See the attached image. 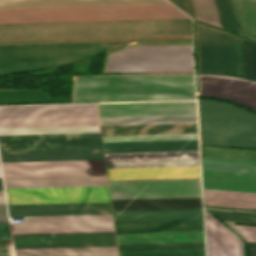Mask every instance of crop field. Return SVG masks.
<instances>
[{"label": "crop field", "mask_w": 256, "mask_h": 256, "mask_svg": "<svg viewBox=\"0 0 256 256\" xmlns=\"http://www.w3.org/2000/svg\"><path fill=\"white\" fill-rule=\"evenodd\" d=\"M102 147L100 133L0 136V150Z\"/></svg>", "instance_id": "obj_13"}, {"label": "crop field", "mask_w": 256, "mask_h": 256, "mask_svg": "<svg viewBox=\"0 0 256 256\" xmlns=\"http://www.w3.org/2000/svg\"><path fill=\"white\" fill-rule=\"evenodd\" d=\"M246 79L256 82V45L243 41Z\"/></svg>", "instance_id": "obj_39"}, {"label": "crop field", "mask_w": 256, "mask_h": 256, "mask_svg": "<svg viewBox=\"0 0 256 256\" xmlns=\"http://www.w3.org/2000/svg\"><path fill=\"white\" fill-rule=\"evenodd\" d=\"M200 74L245 79L242 40L199 26Z\"/></svg>", "instance_id": "obj_8"}, {"label": "crop field", "mask_w": 256, "mask_h": 256, "mask_svg": "<svg viewBox=\"0 0 256 256\" xmlns=\"http://www.w3.org/2000/svg\"><path fill=\"white\" fill-rule=\"evenodd\" d=\"M205 206L256 210V193L204 189Z\"/></svg>", "instance_id": "obj_30"}, {"label": "crop field", "mask_w": 256, "mask_h": 256, "mask_svg": "<svg viewBox=\"0 0 256 256\" xmlns=\"http://www.w3.org/2000/svg\"><path fill=\"white\" fill-rule=\"evenodd\" d=\"M246 256H256V243L246 242Z\"/></svg>", "instance_id": "obj_42"}, {"label": "crop field", "mask_w": 256, "mask_h": 256, "mask_svg": "<svg viewBox=\"0 0 256 256\" xmlns=\"http://www.w3.org/2000/svg\"><path fill=\"white\" fill-rule=\"evenodd\" d=\"M14 248L116 246L114 233L12 236Z\"/></svg>", "instance_id": "obj_16"}, {"label": "crop field", "mask_w": 256, "mask_h": 256, "mask_svg": "<svg viewBox=\"0 0 256 256\" xmlns=\"http://www.w3.org/2000/svg\"><path fill=\"white\" fill-rule=\"evenodd\" d=\"M113 211L201 208V197L111 200Z\"/></svg>", "instance_id": "obj_26"}, {"label": "crop field", "mask_w": 256, "mask_h": 256, "mask_svg": "<svg viewBox=\"0 0 256 256\" xmlns=\"http://www.w3.org/2000/svg\"><path fill=\"white\" fill-rule=\"evenodd\" d=\"M221 220L256 222V213L208 209Z\"/></svg>", "instance_id": "obj_40"}, {"label": "crop field", "mask_w": 256, "mask_h": 256, "mask_svg": "<svg viewBox=\"0 0 256 256\" xmlns=\"http://www.w3.org/2000/svg\"><path fill=\"white\" fill-rule=\"evenodd\" d=\"M193 75L77 77L73 102L194 100Z\"/></svg>", "instance_id": "obj_2"}, {"label": "crop field", "mask_w": 256, "mask_h": 256, "mask_svg": "<svg viewBox=\"0 0 256 256\" xmlns=\"http://www.w3.org/2000/svg\"><path fill=\"white\" fill-rule=\"evenodd\" d=\"M204 188L256 192V175L202 170Z\"/></svg>", "instance_id": "obj_28"}, {"label": "crop field", "mask_w": 256, "mask_h": 256, "mask_svg": "<svg viewBox=\"0 0 256 256\" xmlns=\"http://www.w3.org/2000/svg\"><path fill=\"white\" fill-rule=\"evenodd\" d=\"M201 144L256 149V115L198 99Z\"/></svg>", "instance_id": "obj_4"}, {"label": "crop field", "mask_w": 256, "mask_h": 256, "mask_svg": "<svg viewBox=\"0 0 256 256\" xmlns=\"http://www.w3.org/2000/svg\"><path fill=\"white\" fill-rule=\"evenodd\" d=\"M99 125L95 104L0 107V128Z\"/></svg>", "instance_id": "obj_7"}, {"label": "crop field", "mask_w": 256, "mask_h": 256, "mask_svg": "<svg viewBox=\"0 0 256 256\" xmlns=\"http://www.w3.org/2000/svg\"><path fill=\"white\" fill-rule=\"evenodd\" d=\"M0 174H1V170H0ZM0 190H3L1 178H0ZM0 203H5L3 191H0Z\"/></svg>", "instance_id": "obj_43"}, {"label": "crop field", "mask_w": 256, "mask_h": 256, "mask_svg": "<svg viewBox=\"0 0 256 256\" xmlns=\"http://www.w3.org/2000/svg\"><path fill=\"white\" fill-rule=\"evenodd\" d=\"M238 232L245 241L256 242V227L229 225Z\"/></svg>", "instance_id": "obj_41"}, {"label": "crop field", "mask_w": 256, "mask_h": 256, "mask_svg": "<svg viewBox=\"0 0 256 256\" xmlns=\"http://www.w3.org/2000/svg\"><path fill=\"white\" fill-rule=\"evenodd\" d=\"M202 157L256 162V151L201 147Z\"/></svg>", "instance_id": "obj_36"}, {"label": "crop field", "mask_w": 256, "mask_h": 256, "mask_svg": "<svg viewBox=\"0 0 256 256\" xmlns=\"http://www.w3.org/2000/svg\"><path fill=\"white\" fill-rule=\"evenodd\" d=\"M2 162L104 159L102 148L0 151Z\"/></svg>", "instance_id": "obj_20"}, {"label": "crop field", "mask_w": 256, "mask_h": 256, "mask_svg": "<svg viewBox=\"0 0 256 256\" xmlns=\"http://www.w3.org/2000/svg\"><path fill=\"white\" fill-rule=\"evenodd\" d=\"M190 18L172 4L0 9V23Z\"/></svg>", "instance_id": "obj_3"}, {"label": "crop field", "mask_w": 256, "mask_h": 256, "mask_svg": "<svg viewBox=\"0 0 256 256\" xmlns=\"http://www.w3.org/2000/svg\"><path fill=\"white\" fill-rule=\"evenodd\" d=\"M5 190L8 204L110 202L107 186Z\"/></svg>", "instance_id": "obj_11"}, {"label": "crop field", "mask_w": 256, "mask_h": 256, "mask_svg": "<svg viewBox=\"0 0 256 256\" xmlns=\"http://www.w3.org/2000/svg\"><path fill=\"white\" fill-rule=\"evenodd\" d=\"M101 125L196 123V115L99 118Z\"/></svg>", "instance_id": "obj_33"}, {"label": "crop field", "mask_w": 256, "mask_h": 256, "mask_svg": "<svg viewBox=\"0 0 256 256\" xmlns=\"http://www.w3.org/2000/svg\"><path fill=\"white\" fill-rule=\"evenodd\" d=\"M10 216L112 214L110 203L8 205Z\"/></svg>", "instance_id": "obj_21"}, {"label": "crop field", "mask_w": 256, "mask_h": 256, "mask_svg": "<svg viewBox=\"0 0 256 256\" xmlns=\"http://www.w3.org/2000/svg\"><path fill=\"white\" fill-rule=\"evenodd\" d=\"M119 251L204 249V242L118 245Z\"/></svg>", "instance_id": "obj_37"}, {"label": "crop field", "mask_w": 256, "mask_h": 256, "mask_svg": "<svg viewBox=\"0 0 256 256\" xmlns=\"http://www.w3.org/2000/svg\"><path fill=\"white\" fill-rule=\"evenodd\" d=\"M103 142L197 139V134L102 136Z\"/></svg>", "instance_id": "obj_38"}, {"label": "crop field", "mask_w": 256, "mask_h": 256, "mask_svg": "<svg viewBox=\"0 0 256 256\" xmlns=\"http://www.w3.org/2000/svg\"><path fill=\"white\" fill-rule=\"evenodd\" d=\"M206 212V211H205ZM207 213V212H206ZM205 213L206 219V243H207V254L208 256H236L235 248V237H236V247H237V256H243V242L242 240L230 231L226 226L221 222Z\"/></svg>", "instance_id": "obj_23"}, {"label": "crop field", "mask_w": 256, "mask_h": 256, "mask_svg": "<svg viewBox=\"0 0 256 256\" xmlns=\"http://www.w3.org/2000/svg\"><path fill=\"white\" fill-rule=\"evenodd\" d=\"M99 117L196 114V102L97 104Z\"/></svg>", "instance_id": "obj_18"}, {"label": "crop field", "mask_w": 256, "mask_h": 256, "mask_svg": "<svg viewBox=\"0 0 256 256\" xmlns=\"http://www.w3.org/2000/svg\"><path fill=\"white\" fill-rule=\"evenodd\" d=\"M11 228L12 235L114 232L112 215L36 217Z\"/></svg>", "instance_id": "obj_10"}, {"label": "crop field", "mask_w": 256, "mask_h": 256, "mask_svg": "<svg viewBox=\"0 0 256 256\" xmlns=\"http://www.w3.org/2000/svg\"><path fill=\"white\" fill-rule=\"evenodd\" d=\"M193 71L191 44L138 45L110 53L105 73Z\"/></svg>", "instance_id": "obj_5"}, {"label": "crop field", "mask_w": 256, "mask_h": 256, "mask_svg": "<svg viewBox=\"0 0 256 256\" xmlns=\"http://www.w3.org/2000/svg\"><path fill=\"white\" fill-rule=\"evenodd\" d=\"M15 256H118L116 247L14 249Z\"/></svg>", "instance_id": "obj_31"}, {"label": "crop field", "mask_w": 256, "mask_h": 256, "mask_svg": "<svg viewBox=\"0 0 256 256\" xmlns=\"http://www.w3.org/2000/svg\"><path fill=\"white\" fill-rule=\"evenodd\" d=\"M202 169L256 174V163L202 158Z\"/></svg>", "instance_id": "obj_35"}, {"label": "crop field", "mask_w": 256, "mask_h": 256, "mask_svg": "<svg viewBox=\"0 0 256 256\" xmlns=\"http://www.w3.org/2000/svg\"><path fill=\"white\" fill-rule=\"evenodd\" d=\"M5 188L107 185L105 174L4 177Z\"/></svg>", "instance_id": "obj_22"}, {"label": "crop field", "mask_w": 256, "mask_h": 256, "mask_svg": "<svg viewBox=\"0 0 256 256\" xmlns=\"http://www.w3.org/2000/svg\"><path fill=\"white\" fill-rule=\"evenodd\" d=\"M192 18L194 16L193 0H170ZM219 15L225 29L237 32L231 0H215ZM214 0H194L196 19L204 23L222 27ZM222 27V28H223Z\"/></svg>", "instance_id": "obj_19"}, {"label": "crop field", "mask_w": 256, "mask_h": 256, "mask_svg": "<svg viewBox=\"0 0 256 256\" xmlns=\"http://www.w3.org/2000/svg\"><path fill=\"white\" fill-rule=\"evenodd\" d=\"M115 221L202 219V209L113 212ZM124 233L203 231L202 220L115 222Z\"/></svg>", "instance_id": "obj_9"}, {"label": "crop field", "mask_w": 256, "mask_h": 256, "mask_svg": "<svg viewBox=\"0 0 256 256\" xmlns=\"http://www.w3.org/2000/svg\"><path fill=\"white\" fill-rule=\"evenodd\" d=\"M238 31L256 40V0H232Z\"/></svg>", "instance_id": "obj_32"}, {"label": "crop field", "mask_w": 256, "mask_h": 256, "mask_svg": "<svg viewBox=\"0 0 256 256\" xmlns=\"http://www.w3.org/2000/svg\"><path fill=\"white\" fill-rule=\"evenodd\" d=\"M175 35H192L190 19L0 24V41Z\"/></svg>", "instance_id": "obj_1"}, {"label": "crop field", "mask_w": 256, "mask_h": 256, "mask_svg": "<svg viewBox=\"0 0 256 256\" xmlns=\"http://www.w3.org/2000/svg\"><path fill=\"white\" fill-rule=\"evenodd\" d=\"M170 3L167 0H0V8Z\"/></svg>", "instance_id": "obj_27"}, {"label": "crop field", "mask_w": 256, "mask_h": 256, "mask_svg": "<svg viewBox=\"0 0 256 256\" xmlns=\"http://www.w3.org/2000/svg\"><path fill=\"white\" fill-rule=\"evenodd\" d=\"M102 135L197 133L196 124L101 126Z\"/></svg>", "instance_id": "obj_29"}, {"label": "crop field", "mask_w": 256, "mask_h": 256, "mask_svg": "<svg viewBox=\"0 0 256 256\" xmlns=\"http://www.w3.org/2000/svg\"><path fill=\"white\" fill-rule=\"evenodd\" d=\"M107 168L199 166L198 152L105 154Z\"/></svg>", "instance_id": "obj_15"}, {"label": "crop field", "mask_w": 256, "mask_h": 256, "mask_svg": "<svg viewBox=\"0 0 256 256\" xmlns=\"http://www.w3.org/2000/svg\"><path fill=\"white\" fill-rule=\"evenodd\" d=\"M126 45L2 47L0 48V74L61 66Z\"/></svg>", "instance_id": "obj_6"}, {"label": "crop field", "mask_w": 256, "mask_h": 256, "mask_svg": "<svg viewBox=\"0 0 256 256\" xmlns=\"http://www.w3.org/2000/svg\"><path fill=\"white\" fill-rule=\"evenodd\" d=\"M100 132L99 126L0 129V135Z\"/></svg>", "instance_id": "obj_34"}, {"label": "crop field", "mask_w": 256, "mask_h": 256, "mask_svg": "<svg viewBox=\"0 0 256 256\" xmlns=\"http://www.w3.org/2000/svg\"><path fill=\"white\" fill-rule=\"evenodd\" d=\"M109 180L200 178L199 167L107 169Z\"/></svg>", "instance_id": "obj_24"}, {"label": "crop field", "mask_w": 256, "mask_h": 256, "mask_svg": "<svg viewBox=\"0 0 256 256\" xmlns=\"http://www.w3.org/2000/svg\"><path fill=\"white\" fill-rule=\"evenodd\" d=\"M105 153L198 151L197 140L103 143Z\"/></svg>", "instance_id": "obj_25"}, {"label": "crop field", "mask_w": 256, "mask_h": 256, "mask_svg": "<svg viewBox=\"0 0 256 256\" xmlns=\"http://www.w3.org/2000/svg\"><path fill=\"white\" fill-rule=\"evenodd\" d=\"M200 95L236 101L256 110V83L229 77H198Z\"/></svg>", "instance_id": "obj_17"}, {"label": "crop field", "mask_w": 256, "mask_h": 256, "mask_svg": "<svg viewBox=\"0 0 256 256\" xmlns=\"http://www.w3.org/2000/svg\"><path fill=\"white\" fill-rule=\"evenodd\" d=\"M111 199L201 196L200 179L109 182Z\"/></svg>", "instance_id": "obj_12"}, {"label": "crop field", "mask_w": 256, "mask_h": 256, "mask_svg": "<svg viewBox=\"0 0 256 256\" xmlns=\"http://www.w3.org/2000/svg\"><path fill=\"white\" fill-rule=\"evenodd\" d=\"M4 176L105 173L104 160L2 163Z\"/></svg>", "instance_id": "obj_14"}]
</instances>
